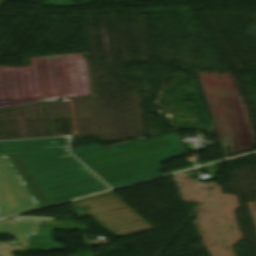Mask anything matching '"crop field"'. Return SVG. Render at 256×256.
I'll return each mask as SVG.
<instances>
[{"mask_svg": "<svg viewBox=\"0 0 256 256\" xmlns=\"http://www.w3.org/2000/svg\"><path fill=\"white\" fill-rule=\"evenodd\" d=\"M73 202L79 218L90 216L117 237L153 228L111 191Z\"/></svg>", "mask_w": 256, "mask_h": 256, "instance_id": "obj_3", "label": "crop field"}, {"mask_svg": "<svg viewBox=\"0 0 256 256\" xmlns=\"http://www.w3.org/2000/svg\"><path fill=\"white\" fill-rule=\"evenodd\" d=\"M40 220H54L48 217L16 216L0 221V234L15 237L13 242H0V245H27L28 234H36Z\"/></svg>", "mask_w": 256, "mask_h": 256, "instance_id": "obj_5", "label": "crop field"}, {"mask_svg": "<svg viewBox=\"0 0 256 256\" xmlns=\"http://www.w3.org/2000/svg\"><path fill=\"white\" fill-rule=\"evenodd\" d=\"M52 229H79L76 222L41 221L37 235H29L30 249H61L62 245L51 240Z\"/></svg>", "mask_w": 256, "mask_h": 256, "instance_id": "obj_7", "label": "crop field"}, {"mask_svg": "<svg viewBox=\"0 0 256 256\" xmlns=\"http://www.w3.org/2000/svg\"><path fill=\"white\" fill-rule=\"evenodd\" d=\"M8 158L39 207L107 190L67 153Z\"/></svg>", "mask_w": 256, "mask_h": 256, "instance_id": "obj_2", "label": "crop field"}, {"mask_svg": "<svg viewBox=\"0 0 256 256\" xmlns=\"http://www.w3.org/2000/svg\"><path fill=\"white\" fill-rule=\"evenodd\" d=\"M64 138L1 142L0 155L66 151Z\"/></svg>", "mask_w": 256, "mask_h": 256, "instance_id": "obj_6", "label": "crop field"}, {"mask_svg": "<svg viewBox=\"0 0 256 256\" xmlns=\"http://www.w3.org/2000/svg\"><path fill=\"white\" fill-rule=\"evenodd\" d=\"M38 208L7 156H0V217Z\"/></svg>", "mask_w": 256, "mask_h": 256, "instance_id": "obj_4", "label": "crop field"}, {"mask_svg": "<svg viewBox=\"0 0 256 256\" xmlns=\"http://www.w3.org/2000/svg\"><path fill=\"white\" fill-rule=\"evenodd\" d=\"M112 187L157 175L164 168L158 161L184 154L176 134L149 141H125L108 147L98 144L72 149Z\"/></svg>", "mask_w": 256, "mask_h": 256, "instance_id": "obj_1", "label": "crop field"}, {"mask_svg": "<svg viewBox=\"0 0 256 256\" xmlns=\"http://www.w3.org/2000/svg\"><path fill=\"white\" fill-rule=\"evenodd\" d=\"M29 251L28 246H0V256H11V252Z\"/></svg>", "mask_w": 256, "mask_h": 256, "instance_id": "obj_8", "label": "crop field"}]
</instances>
